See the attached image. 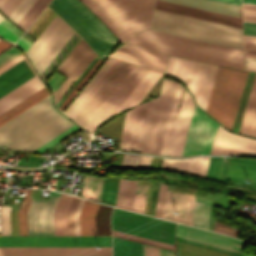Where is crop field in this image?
Listing matches in <instances>:
<instances>
[{
  "instance_id": "8a807250",
  "label": "crop field",
  "mask_w": 256,
  "mask_h": 256,
  "mask_svg": "<svg viewBox=\"0 0 256 256\" xmlns=\"http://www.w3.org/2000/svg\"><path fill=\"white\" fill-rule=\"evenodd\" d=\"M72 124L53 108L49 95L0 127V147L32 151Z\"/></svg>"
},
{
  "instance_id": "ac0d7876",
  "label": "crop field",
  "mask_w": 256,
  "mask_h": 256,
  "mask_svg": "<svg viewBox=\"0 0 256 256\" xmlns=\"http://www.w3.org/2000/svg\"><path fill=\"white\" fill-rule=\"evenodd\" d=\"M0 246H111V237H0ZM0 247V256H111V247Z\"/></svg>"
},
{
  "instance_id": "34b2d1b8",
  "label": "crop field",
  "mask_w": 256,
  "mask_h": 256,
  "mask_svg": "<svg viewBox=\"0 0 256 256\" xmlns=\"http://www.w3.org/2000/svg\"><path fill=\"white\" fill-rule=\"evenodd\" d=\"M148 29L243 50L240 28L157 9Z\"/></svg>"
},
{
  "instance_id": "412701ff",
  "label": "crop field",
  "mask_w": 256,
  "mask_h": 256,
  "mask_svg": "<svg viewBox=\"0 0 256 256\" xmlns=\"http://www.w3.org/2000/svg\"><path fill=\"white\" fill-rule=\"evenodd\" d=\"M122 41L149 27L155 0H81Z\"/></svg>"
},
{
  "instance_id": "f4fd0767",
  "label": "crop field",
  "mask_w": 256,
  "mask_h": 256,
  "mask_svg": "<svg viewBox=\"0 0 256 256\" xmlns=\"http://www.w3.org/2000/svg\"><path fill=\"white\" fill-rule=\"evenodd\" d=\"M48 6L76 30L102 60L118 42L77 0H52Z\"/></svg>"
},
{
  "instance_id": "dd49c442",
  "label": "crop field",
  "mask_w": 256,
  "mask_h": 256,
  "mask_svg": "<svg viewBox=\"0 0 256 256\" xmlns=\"http://www.w3.org/2000/svg\"><path fill=\"white\" fill-rule=\"evenodd\" d=\"M246 71L217 67L206 112L232 129L241 98Z\"/></svg>"
},
{
  "instance_id": "e52e79f7",
  "label": "crop field",
  "mask_w": 256,
  "mask_h": 256,
  "mask_svg": "<svg viewBox=\"0 0 256 256\" xmlns=\"http://www.w3.org/2000/svg\"><path fill=\"white\" fill-rule=\"evenodd\" d=\"M176 84L163 79L159 98L148 101L136 151L159 154Z\"/></svg>"
},
{
  "instance_id": "d8731c3e",
  "label": "crop field",
  "mask_w": 256,
  "mask_h": 256,
  "mask_svg": "<svg viewBox=\"0 0 256 256\" xmlns=\"http://www.w3.org/2000/svg\"><path fill=\"white\" fill-rule=\"evenodd\" d=\"M35 74L27 59H23L13 67L0 74V97L19 86ZM44 84L36 75L16 89L0 98V115L22 102L35 92L42 89Z\"/></svg>"
},
{
  "instance_id": "5a996713",
  "label": "crop field",
  "mask_w": 256,
  "mask_h": 256,
  "mask_svg": "<svg viewBox=\"0 0 256 256\" xmlns=\"http://www.w3.org/2000/svg\"><path fill=\"white\" fill-rule=\"evenodd\" d=\"M216 67L170 56L165 73L185 81L196 103L206 110Z\"/></svg>"
},
{
  "instance_id": "3316defc",
  "label": "crop field",
  "mask_w": 256,
  "mask_h": 256,
  "mask_svg": "<svg viewBox=\"0 0 256 256\" xmlns=\"http://www.w3.org/2000/svg\"><path fill=\"white\" fill-rule=\"evenodd\" d=\"M112 229L173 245L175 223L158 220L115 208L111 217Z\"/></svg>"
},
{
  "instance_id": "28ad6ade",
  "label": "crop field",
  "mask_w": 256,
  "mask_h": 256,
  "mask_svg": "<svg viewBox=\"0 0 256 256\" xmlns=\"http://www.w3.org/2000/svg\"><path fill=\"white\" fill-rule=\"evenodd\" d=\"M74 33L75 32L56 15L39 38L37 37L38 39L30 46L26 53L31 58L40 75Z\"/></svg>"
},
{
  "instance_id": "d1516ede",
  "label": "crop field",
  "mask_w": 256,
  "mask_h": 256,
  "mask_svg": "<svg viewBox=\"0 0 256 256\" xmlns=\"http://www.w3.org/2000/svg\"><path fill=\"white\" fill-rule=\"evenodd\" d=\"M222 159L223 157L210 158V162H209V166H208L205 178L256 190V188L249 187V186L256 187V160L235 159V158L225 157L222 170L220 173V177L219 179H217L220 166L222 163ZM225 180L240 183V184H245L249 186L235 184V183L227 182ZM247 180L250 183H247L246 182Z\"/></svg>"
},
{
  "instance_id": "22f410ed",
  "label": "crop field",
  "mask_w": 256,
  "mask_h": 256,
  "mask_svg": "<svg viewBox=\"0 0 256 256\" xmlns=\"http://www.w3.org/2000/svg\"><path fill=\"white\" fill-rule=\"evenodd\" d=\"M216 124L194 106L182 156L209 154Z\"/></svg>"
},
{
  "instance_id": "cbeb9de0",
  "label": "crop field",
  "mask_w": 256,
  "mask_h": 256,
  "mask_svg": "<svg viewBox=\"0 0 256 256\" xmlns=\"http://www.w3.org/2000/svg\"><path fill=\"white\" fill-rule=\"evenodd\" d=\"M133 67L120 61L74 120L85 127Z\"/></svg>"
},
{
  "instance_id": "5142ce71",
  "label": "crop field",
  "mask_w": 256,
  "mask_h": 256,
  "mask_svg": "<svg viewBox=\"0 0 256 256\" xmlns=\"http://www.w3.org/2000/svg\"><path fill=\"white\" fill-rule=\"evenodd\" d=\"M136 38L243 61V51L146 30Z\"/></svg>"
},
{
  "instance_id": "d9b57169",
  "label": "crop field",
  "mask_w": 256,
  "mask_h": 256,
  "mask_svg": "<svg viewBox=\"0 0 256 256\" xmlns=\"http://www.w3.org/2000/svg\"><path fill=\"white\" fill-rule=\"evenodd\" d=\"M93 52L81 39L72 52L59 66L58 70H60L68 78L54 92L56 103L94 59L96 55Z\"/></svg>"
},
{
  "instance_id": "733c2abd",
  "label": "crop field",
  "mask_w": 256,
  "mask_h": 256,
  "mask_svg": "<svg viewBox=\"0 0 256 256\" xmlns=\"http://www.w3.org/2000/svg\"><path fill=\"white\" fill-rule=\"evenodd\" d=\"M59 192H50L48 202L33 199L27 211L29 235H54L53 213Z\"/></svg>"
},
{
  "instance_id": "4a817a6b",
  "label": "crop field",
  "mask_w": 256,
  "mask_h": 256,
  "mask_svg": "<svg viewBox=\"0 0 256 256\" xmlns=\"http://www.w3.org/2000/svg\"><path fill=\"white\" fill-rule=\"evenodd\" d=\"M147 71L148 69L135 66L85 128L93 133L94 127L114 113Z\"/></svg>"
},
{
  "instance_id": "bc2a9ffb",
  "label": "crop field",
  "mask_w": 256,
  "mask_h": 256,
  "mask_svg": "<svg viewBox=\"0 0 256 256\" xmlns=\"http://www.w3.org/2000/svg\"><path fill=\"white\" fill-rule=\"evenodd\" d=\"M210 154L256 155V139L233 134L218 124Z\"/></svg>"
},
{
  "instance_id": "214f88e0",
  "label": "crop field",
  "mask_w": 256,
  "mask_h": 256,
  "mask_svg": "<svg viewBox=\"0 0 256 256\" xmlns=\"http://www.w3.org/2000/svg\"><path fill=\"white\" fill-rule=\"evenodd\" d=\"M127 42L135 44V45H139V46H142L145 48H149V49H152L155 51L175 55V56L200 60V61H204V62L224 65V66L243 70V62L237 61V60L227 59V58H223V57H218V56L209 55V54H205V53H200V52H195V51L186 50V49H182V48L172 47V46L163 45V44L154 43V42L145 41V40H140V39H136V38H133Z\"/></svg>"
},
{
  "instance_id": "92a150f3",
  "label": "crop field",
  "mask_w": 256,
  "mask_h": 256,
  "mask_svg": "<svg viewBox=\"0 0 256 256\" xmlns=\"http://www.w3.org/2000/svg\"><path fill=\"white\" fill-rule=\"evenodd\" d=\"M165 54L145 50L127 43L118 47L109 57L144 66L157 71H164L167 60Z\"/></svg>"
},
{
  "instance_id": "dafd665d",
  "label": "crop field",
  "mask_w": 256,
  "mask_h": 256,
  "mask_svg": "<svg viewBox=\"0 0 256 256\" xmlns=\"http://www.w3.org/2000/svg\"><path fill=\"white\" fill-rule=\"evenodd\" d=\"M177 237L237 251L243 252L246 243L229 238L225 235L177 224Z\"/></svg>"
},
{
  "instance_id": "00972430",
  "label": "crop field",
  "mask_w": 256,
  "mask_h": 256,
  "mask_svg": "<svg viewBox=\"0 0 256 256\" xmlns=\"http://www.w3.org/2000/svg\"><path fill=\"white\" fill-rule=\"evenodd\" d=\"M193 204V194L168 189L163 218L192 225Z\"/></svg>"
},
{
  "instance_id": "a9b5d70f",
  "label": "crop field",
  "mask_w": 256,
  "mask_h": 256,
  "mask_svg": "<svg viewBox=\"0 0 256 256\" xmlns=\"http://www.w3.org/2000/svg\"><path fill=\"white\" fill-rule=\"evenodd\" d=\"M193 103L190 96L184 90L180 107H179V114L169 150L170 156H181L184 141L187 133V128L190 120V115L192 111Z\"/></svg>"
},
{
  "instance_id": "4177f3b9",
  "label": "crop field",
  "mask_w": 256,
  "mask_h": 256,
  "mask_svg": "<svg viewBox=\"0 0 256 256\" xmlns=\"http://www.w3.org/2000/svg\"><path fill=\"white\" fill-rule=\"evenodd\" d=\"M155 8L242 28L241 19L157 0Z\"/></svg>"
},
{
  "instance_id": "730fd06b",
  "label": "crop field",
  "mask_w": 256,
  "mask_h": 256,
  "mask_svg": "<svg viewBox=\"0 0 256 256\" xmlns=\"http://www.w3.org/2000/svg\"><path fill=\"white\" fill-rule=\"evenodd\" d=\"M241 18V6L216 0H163Z\"/></svg>"
},
{
  "instance_id": "eef30255",
  "label": "crop field",
  "mask_w": 256,
  "mask_h": 256,
  "mask_svg": "<svg viewBox=\"0 0 256 256\" xmlns=\"http://www.w3.org/2000/svg\"><path fill=\"white\" fill-rule=\"evenodd\" d=\"M238 132L256 136V74Z\"/></svg>"
},
{
  "instance_id": "ae1a2a85",
  "label": "crop field",
  "mask_w": 256,
  "mask_h": 256,
  "mask_svg": "<svg viewBox=\"0 0 256 256\" xmlns=\"http://www.w3.org/2000/svg\"><path fill=\"white\" fill-rule=\"evenodd\" d=\"M114 59L108 58L107 61L102 65V67L98 70V72L93 76V78L89 81V83L84 87V89L80 92V94L75 98V100L71 103V105L64 112L69 117L75 111V109L80 105V103L84 100V98L88 95V93L92 90V88L97 84V82L101 79V77L105 74V72L110 68V66L114 63Z\"/></svg>"
},
{
  "instance_id": "d3111659",
  "label": "crop field",
  "mask_w": 256,
  "mask_h": 256,
  "mask_svg": "<svg viewBox=\"0 0 256 256\" xmlns=\"http://www.w3.org/2000/svg\"><path fill=\"white\" fill-rule=\"evenodd\" d=\"M72 198V196L61 194L54 213L55 235H67L66 214Z\"/></svg>"
},
{
  "instance_id": "750c4746",
  "label": "crop field",
  "mask_w": 256,
  "mask_h": 256,
  "mask_svg": "<svg viewBox=\"0 0 256 256\" xmlns=\"http://www.w3.org/2000/svg\"><path fill=\"white\" fill-rule=\"evenodd\" d=\"M98 203L85 201L80 215L81 235H95L94 216Z\"/></svg>"
},
{
  "instance_id": "bd1437ed",
  "label": "crop field",
  "mask_w": 256,
  "mask_h": 256,
  "mask_svg": "<svg viewBox=\"0 0 256 256\" xmlns=\"http://www.w3.org/2000/svg\"><path fill=\"white\" fill-rule=\"evenodd\" d=\"M182 90H183V88L181 87L180 84H178L176 93H175V97H174V101H173V105H172V109H171V113H170V117H169V121H168V125H167V129H166V133H165V137H164V141H163V145H162V149H161V153H160L162 155H167V153H168Z\"/></svg>"
},
{
  "instance_id": "1d83c4d3",
  "label": "crop field",
  "mask_w": 256,
  "mask_h": 256,
  "mask_svg": "<svg viewBox=\"0 0 256 256\" xmlns=\"http://www.w3.org/2000/svg\"><path fill=\"white\" fill-rule=\"evenodd\" d=\"M136 180L119 181L115 206L131 210Z\"/></svg>"
},
{
  "instance_id": "120bbe31",
  "label": "crop field",
  "mask_w": 256,
  "mask_h": 256,
  "mask_svg": "<svg viewBox=\"0 0 256 256\" xmlns=\"http://www.w3.org/2000/svg\"><path fill=\"white\" fill-rule=\"evenodd\" d=\"M113 256H142V244L113 237Z\"/></svg>"
},
{
  "instance_id": "d32e631a",
  "label": "crop field",
  "mask_w": 256,
  "mask_h": 256,
  "mask_svg": "<svg viewBox=\"0 0 256 256\" xmlns=\"http://www.w3.org/2000/svg\"><path fill=\"white\" fill-rule=\"evenodd\" d=\"M47 95H49V93L45 87L42 90H40L39 92L32 95L31 97H29L28 99H26L25 101H23L22 103L18 104L17 106H15L11 110H9L8 112H6L5 114H3L2 116H0V125L5 123L6 121L10 120L17 114L21 113L28 107L32 106L33 104H35L42 98L46 97Z\"/></svg>"
},
{
  "instance_id": "5866460e",
  "label": "crop field",
  "mask_w": 256,
  "mask_h": 256,
  "mask_svg": "<svg viewBox=\"0 0 256 256\" xmlns=\"http://www.w3.org/2000/svg\"><path fill=\"white\" fill-rule=\"evenodd\" d=\"M102 181L100 178L84 176L81 196L99 201Z\"/></svg>"
},
{
  "instance_id": "028f5c9d",
  "label": "crop field",
  "mask_w": 256,
  "mask_h": 256,
  "mask_svg": "<svg viewBox=\"0 0 256 256\" xmlns=\"http://www.w3.org/2000/svg\"><path fill=\"white\" fill-rule=\"evenodd\" d=\"M49 2L50 0H36L17 25L27 30Z\"/></svg>"
},
{
  "instance_id": "e1f06a70",
  "label": "crop field",
  "mask_w": 256,
  "mask_h": 256,
  "mask_svg": "<svg viewBox=\"0 0 256 256\" xmlns=\"http://www.w3.org/2000/svg\"><path fill=\"white\" fill-rule=\"evenodd\" d=\"M146 104H147V102L139 105L137 108L132 132H131V136H130V140H129V144H128V148H127L128 150L135 151V149H136Z\"/></svg>"
},
{
  "instance_id": "0bd39190",
  "label": "crop field",
  "mask_w": 256,
  "mask_h": 256,
  "mask_svg": "<svg viewBox=\"0 0 256 256\" xmlns=\"http://www.w3.org/2000/svg\"><path fill=\"white\" fill-rule=\"evenodd\" d=\"M118 181L119 179H115V180L104 179L101 199H100L101 202H105L114 206L117 187H118Z\"/></svg>"
},
{
  "instance_id": "b80d0937",
  "label": "crop field",
  "mask_w": 256,
  "mask_h": 256,
  "mask_svg": "<svg viewBox=\"0 0 256 256\" xmlns=\"http://www.w3.org/2000/svg\"><path fill=\"white\" fill-rule=\"evenodd\" d=\"M209 158L210 157H198L190 159L186 174L204 178Z\"/></svg>"
},
{
  "instance_id": "c035e120",
  "label": "crop field",
  "mask_w": 256,
  "mask_h": 256,
  "mask_svg": "<svg viewBox=\"0 0 256 256\" xmlns=\"http://www.w3.org/2000/svg\"><path fill=\"white\" fill-rule=\"evenodd\" d=\"M177 249L180 250V256H228L225 254L205 250L202 248L182 244L177 242Z\"/></svg>"
},
{
  "instance_id": "c21b1889",
  "label": "crop field",
  "mask_w": 256,
  "mask_h": 256,
  "mask_svg": "<svg viewBox=\"0 0 256 256\" xmlns=\"http://www.w3.org/2000/svg\"><path fill=\"white\" fill-rule=\"evenodd\" d=\"M31 191L32 190L30 189L27 190L26 195L21 204V207L18 211L19 235H28L26 211L29 206L30 200L32 198L30 197Z\"/></svg>"
},
{
  "instance_id": "03da06ac",
  "label": "crop field",
  "mask_w": 256,
  "mask_h": 256,
  "mask_svg": "<svg viewBox=\"0 0 256 256\" xmlns=\"http://www.w3.org/2000/svg\"><path fill=\"white\" fill-rule=\"evenodd\" d=\"M189 159H166L162 158L161 168L164 171L185 174Z\"/></svg>"
},
{
  "instance_id": "b54c1fbb",
  "label": "crop field",
  "mask_w": 256,
  "mask_h": 256,
  "mask_svg": "<svg viewBox=\"0 0 256 256\" xmlns=\"http://www.w3.org/2000/svg\"><path fill=\"white\" fill-rule=\"evenodd\" d=\"M210 205L195 203L193 225L207 229Z\"/></svg>"
},
{
  "instance_id": "5d738f31",
  "label": "crop field",
  "mask_w": 256,
  "mask_h": 256,
  "mask_svg": "<svg viewBox=\"0 0 256 256\" xmlns=\"http://www.w3.org/2000/svg\"><path fill=\"white\" fill-rule=\"evenodd\" d=\"M23 33L5 18L0 22V36L11 42H15Z\"/></svg>"
},
{
  "instance_id": "d23c7cc5",
  "label": "crop field",
  "mask_w": 256,
  "mask_h": 256,
  "mask_svg": "<svg viewBox=\"0 0 256 256\" xmlns=\"http://www.w3.org/2000/svg\"><path fill=\"white\" fill-rule=\"evenodd\" d=\"M136 108L137 107L127 111V113H126L123 129H122V133H121L120 149L127 148V144H128Z\"/></svg>"
},
{
  "instance_id": "425ffa30",
  "label": "crop field",
  "mask_w": 256,
  "mask_h": 256,
  "mask_svg": "<svg viewBox=\"0 0 256 256\" xmlns=\"http://www.w3.org/2000/svg\"><path fill=\"white\" fill-rule=\"evenodd\" d=\"M78 129H80V128L77 127L74 124V125H72L68 129H66L65 131L61 132L60 134H58L57 136H55L54 138H52L51 140H49L45 144L41 145L40 147H38L37 149H35L32 152H36V153L41 154L44 151H46L47 149H49L52 145L56 144L57 142H59L60 140L64 139L65 137H67L68 135L72 134L73 132H75Z\"/></svg>"
},
{
  "instance_id": "25e5ab78",
  "label": "crop field",
  "mask_w": 256,
  "mask_h": 256,
  "mask_svg": "<svg viewBox=\"0 0 256 256\" xmlns=\"http://www.w3.org/2000/svg\"><path fill=\"white\" fill-rule=\"evenodd\" d=\"M147 187L148 185L137 184L132 210L143 213Z\"/></svg>"
},
{
  "instance_id": "73cf0c24",
  "label": "crop field",
  "mask_w": 256,
  "mask_h": 256,
  "mask_svg": "<svg viewBox=\"0 0 256 256\" xmlns=\"http://www.w3.org/2000/svg\"><path fill=\"white\" fill-rule=\"evenodd\" d=\"M112 233L116 237H120V238H124V239H128V240H132V241H137V242H141V243H145V244L154 245V246H158V247L173 250L172 245H168V244H164V243L144 239V238H141V237H137V236H133V235H129V234L113 231V230H112Z\"/></svg>"
},
{
  "instance_id": "89e229c0",
  "label": "crop field",
  "mask_w": 256,
  "mask_h": 256,
  "mask_svg": "<svg viewBox=\"0 0 256 256\" xmlns=\"http://www.w3.org/2000/svg\"><path fill=\"white\" fill-rule=\"evenodd\" d=\"M11 206L2 205L0 208L1 235H11L9 210Z\"/></svg>"
},
{
  "instance_id": "1f2cbd36",
  "label": "crop field",
  "mask_w": 256,
  "mask_h": 256,
  "mask_svg": "<svg viewBox=\"0 0 256 256\" xmlns=\"http://www.w3.org/2000/svg\"><path fill=\"white\" fill-rule=\"evenodd\" d=\"M34 1L35 0H22L8 18L17 24Z\"/></svg>"
},
{
  "instance_id": "dbb93151",
  "label": "crop field",
  "mask_w": 256,
  "mask_h": 256,
  "mask_svg": "<svg viewBox=\"0 0 256 256\" xmlns=\"http://www.w3.org/2000/svg\"><path fill=\"white\" fill-rule=\"evenodd\" d=\"M176 239L178 242L210 249L213 251H217V252H221V253H225V254H229V255H233V256H248V255H244L241 253H237V252H233V251H229V250H225V249H221V248H217V247H213V246H209V245H205V244H201V243H197V242H193V241H189V240H185V239H181V238H177V237H176Z\"/></svg>"
},
{
  "instance_id": "0fb4a251",
  "label": "crop field",
  "mask_w": 256,
  "mask_h": 256,
  "mask_svg": "<svg viewBox=\"0 0 256 256\" xmlns=\"http://www.w3.org/2000/svg\"><path fill=\"white\" fill-rule=\"evenodd\" d=\"M78 36L79 35L75 33L74 36L69 40V42L61 50V52L56 56V58L52 61V63L48 66V68L43 72V74L41 75L43 79L51 71V69L56 65V63L61 59V57L65 54V52L70 48V46L75 42Z\"/></svg>"
},
{
  "instance_id": "1d79db26",
  "label": "crop field",
  "mask_w": 256,
  "mask_h": 256,
  "mask_svg": "<svg viewBox=\"0 0 256 256\" xmlns=\"http://www.w3.org/2000/svg\"><path fill=\"white\" fill-rule=\"evenodd\" d=\"M118 60L111 66V68L106 72V74L102 77V79L98 82V84L94 87V89L89 93V95L85 98V100L81 103V105L76 109V111L72 114L71 118H75V116L79 113V111L83 108V106L87 103V101L91 98V96L95 93L98 87L102 84V82L106 79V77L110 74V72L114 69V67L118 64ZM120 63V62H119ZM116 68V67H115Z\"/></svg>"
},
{
  "instance_id": "9d1cf04e",
  "label": "crop field",
  "mask_w": 256,
  "mask_h": 256,
  "mask_svg": "<svg viewBox=\"0 0 256 256\" xmlns=\"http://www.w3.org/2000/svg\"><path fill=\"white\" fill-rule=\"evenodd\" d=\"M141 156L133 154H124L120 168L138 169Z\"/></svg>"
},
{
  "instance_id": "447ae74e",
  "label": "crop field",
  "mask_w": 256,
  "mask_h": 256,
  "mask_svg": "<svg viewBox=\"0 0 256 256\" xmlns=\"http://www.w3.org/2000/svg\"><path fill=\"white\" fill-rule=\"evenodd\" d=\"M79 200V198H73V201L67 214L68 235H75L73 214L75 212Z\"/></svg>"
},
{
  "instance_id": "0765c3eb",
  "label": "crop field",
  "mask_w": 256,
  "mask_h": 256,
  "mask_svg": "<svg viewBox=\"0 0 256 256\" xmlns=\"http://www.w3.org/2000/svg\"><path fill=\"white\" fill-rule=\"evenodd\" d=\"M166 188H167V185H163L160 183L155 216L161 217V218L163 215Z\"/></svg>"
},
{
  "instance_id": "db79e9e6",
  "label": "crop field",
  "mask_w": 256,
  "mask_h": 256,
  "mask_svg": "<svg viewBox=\"0 0 256 256\" xmlns=\"http://www.w3.org/2000/svg\"><path fill=\"white\" fill-rule=\"evenodd\" d=\"M21 0H0V9L8 17Z\"/></svg>"
},
{
  "instance_id": "7b73153f",
  "label": "crop field",
  "mask_w": 256,
  "mask_h": 256,
  "mask_svg": "<svg viewBox=\"0 0 256 256\" xmlns=\"http://www.w3.org/2000/svg\"><path fill=\"white\" fill-rule=\"evenodd\" d=\"M19 54L21 53L18 52L14 48V46L0 54V67L9 62L10 60H12L13 58H15L16 56H18Z\"/></svg>"
},
{
  "instance_id": "78b8030e",
  "label": "crop field",
  "mask_w": 256,
  "mask_h": 256,
  "mask_svg": "<svg viewBox=\"0 0 256 256\" xmlns=\"http://www.w3.org/2000/svg\"><path fill=\"white\" fill-rule=\"evenodd\" d=\"M101 62V60L99 59L98 62L93 66V68L89 71V73L84 77V79L80 82V84L75 88V90L70 94V96L66 99V101L61 105V107L59 108L60 110H63L64 107L68 104V102L72 99V97L76 94V92L80 89V87L83 85V83L87 80V78L91 75V73L95 70V68L99 65V63ZM101 64V63H100Z\"/></svg>"
},
{
  "instance_id": "0f1d7ab4",
  "label": "crop field",
  "mask_w": 256,
  "mask_h": 256,
  "mask_svg": "<svg viewBox=\"0 0 256 256\" xmlns=\"http://www.w3.org/2000/svg\"><path fill=\"white\" fill-rule=\"evenodd\" d=\"M214 231L229 234V235H232L234 237H236V235L239 233V230L227 227L225 225H222V224H219V223H216V222H215Z\"/></svg>"
},
{
  "instance_id": "e1d0b9f6",
  "label": "crop field",
  "mask_w": 256,
  "mask_h": 256,
  "mask_svg": "<svg viewBox=\"0 0 256 256\" xmlns=\"http://www.w3.org/2000/svg\"><path fill=\"white\" fill-rule=\"evenodd\" d=\"M84 201L85 200H83V199L80 200L79 205L74 214L76 235H80L79 215H80L81 209L83 207Z\"/></svg>"
},
{
  "instance_id": "ae633e8c",
  "label": "crop field",
  "mask_w": 256,
  "mask_h": 256,
  "mask_svg": "<svg viewBox=\"0 0 256 256\" xmlns=\"http://www.w3.org/2000/svg\"><path fill=\"white\" fill-rule=\"evenodd\" d=\"M243 15L256 16V5L243 3Z\"/></svg>"
},
{
  "instance_id": "d14b1444",
  "label": "crop field",
  "mask_w": 256,
  "mask_h": 256,
  "mask_svg": "<svg viewBox=\"0 0 256 256\" xmlns=\"http://www.w3.org/2000/svg\"><path fill=\"white\" fill-rule=\"evenodd\" d=\"M143 256H159V249L143 244Z\"/></svg>"
},
{
  "instance_id": "c39391a2",
  "label": "crop field",
  "mask_w": 256,
  "mask_h": 256,
  "mask_svg": "<svg viewBox=\"0 0 256 256\" xmlns=\"http://www.w3.org/2000/svg\"><path fill=\"white\" fill-rule=\"evenodd\" d=\"M244 34L256 35V23L243 22Z\"/></svg>"
},
{
  "instance_id": "ade564c9",
  "label": "crop field",
  "mask_w": 256,
  "mask_h": 256,
  "mask_svg": "<svg viewBox=\"0 0 256 256\" xmlns=\"http://www.w3.org/2000/svg\"><path fill=\"white\" fill-rule=\"evenodd\" d=\"M245 70L256 71V58L245 57Z\"/></svg>"
},
{
  "instance_id": "c5b07064",
  "label": "crop field",
  "mask_w": 256,
  "mask_h": 256,
  "mask_svg": "<svg viewBox=\"0 0 256 256\" xmlns=\"http://www.w3.org/2000/svg\"><path fill=\"white\" fill-rule=\"evenodd\" d=\"M227 187L232 188V189H235V190H239V191H242V192H246V193H249V194L256 195V192H255V191H251V190H247V189H243V188H239V187H235V186H231V185H227ZM241 194H242L243 196H245L246 198H248V199H251V200H255V201H256V197H254V196H250V195L243 194V193H241Z\"/></svg>"
},
{
  "instance_id": "c3a83c6f",
  "label": "crop field",
  "mask_w": 256,
  "mask_h": 256,
  "mask_svg": "<svg viewBox=\"0 0 256 256\" xmlns=\"http://www.w3.org/2000/svg\"><path fill=\"white\" fill-rule=\"evenodd\" d=\"M244 45L256 46V36L244 35Z\"/></svg>"
},
{
  "instance_id": "fb207236",
  "label": "crop field",
  "mask_w": 256,
  "mask_h": 256,
  "mask_svg": "<svg viewBox=\"0 0 256 256\" xmlns=\"http://www.w3.org/2000/svg\"><path fill=\"white\" fill-rule=\"evenodd\" d=\"M21 48H23L26 52V50L28 49V47L31 45V43H29L28 41H26L25 39H23L22 37L16 42Z\"/></svg>"
},
{
  "instance_id": "7312dd0a",
  "label": "crop field",
  "mask_w": 256,
  "mask_h": 256,
  "mask_svg": "<svg viewBox=\"0 0 256 256\" xmlns=\"http://www.w3.org/2000/svg\"><path fill=\"white\" fill-rule=\"evenodd\" d=\"M160 256H173V252L160 249Z\"/></svg>"
},
{
  "instance_id": "180be81f",
  "label": "crop field",
  "mask_w": 256,
  "mask_h": 256,
  "mask_svg": "<svg viewBox=\"0 0 256 256\" xmlns=\"http://www.w3.org/2000/svg\"><path fill=\"white\" fill-rule=\"evenodd\" d=\"M243 21H247V22H256V17H247V16H243Z\"/></svg>"
},
{
  "instance_id": "f0312440",
  "label": "crop field",
  "mask_w": 256,
  "mask_h": 256,
  "mask_svg": "<svg viewBox=\"0 0 256 256\" xmlns=\"http://www.w3.org/2000/svg\"><path fill=\"white\" fill-rule=\"evenodd\" d=\"M8 46H10V44L4 42V41H0V51L4 50L5 48H7Z\"/></svg>"
},
{
  "instance_id": "1f1604b0",
  "label": "crop field",
  "mask_w": 256,
  "mask_h": 256,
  "mask_svg": "<svg viewBox=\"0 0 256 256\" xmlns=\"http://www.w3.org/2000/svg\"><path fill=\"white\" fill-rule=\"evenodd\" d=\"M221 1H225V2H230V3H235V4L241 5V0H221Z\"/></svg>"
},
{
  "instance_id": "819c52e7",
  "label": "crop field",
  "mask_w": 256,
  "mask_h": 256,
  "mask_svg": "<svg viewBox=\"0 0 256 256\" xmlns=\"http://www.w3.org/2000/svg\"><path fill=\"white\" fill-rule=\"evenodd\" d=\"M243 2H247V3H255V4H256V0H243Z\"/></svg>"
},
{
  "instance_id": "c821d689",
  "label": "crop field",
  "mask_w": 256,
  "mask_h": 256,
  "mask_svg": "<svg viewBox=\"0 0 256 256\" xmlns=\"http://www.w3.org/2000/svg\"><path fill=\"white\" fill-rule=\"evenodd\" d=\"M4 17L0 14V21L3 19Z\"/></svg>"
}]
</instances>
